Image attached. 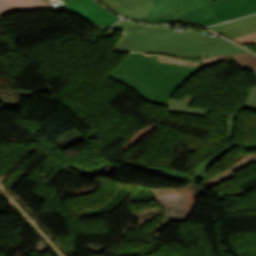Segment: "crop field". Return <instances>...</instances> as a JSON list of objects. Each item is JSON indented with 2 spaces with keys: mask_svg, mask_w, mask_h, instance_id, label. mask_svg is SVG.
<instances>
[{
  "mask_svg": "<svg viewBox=\"0 0 256 256\" xmlns=\"http://www.w3.org/2000/svg\"><path fill=\"white\" fill-rule=\"evenodd\" d=\"M229 23V22H228ZM227 23H225V24H222V25H218V26H213V27H209L210 29H212V30H214V31H216L217 29H219L220 27H222V26H224V25H226Z\"/></svg>",
  "mask_w": 256,
  "mask_h": 256,
  "instance_id": "18",
  "label": "crop field"
},
{
  "mask_svg": "<svg viewBox=\"0 0 256 256\" xmlns=\"http://www.w3.org/2000/svg\"><path fill=\"white\" fill-rule=\"evenodd\" d=\"M194 97L195 96L185 95L183 100L170 99L167 105L168 112L206 117L209 112L208 109L190 107L186 105L191 103Z\"/></svg>",
  "mask_w": 256,
  "mask_h": 256,
  "instance_id": "10",
  "label": "crop field"
},
{
  "mask_svg": "<svg viewBox=\"0 0 256 256\" xmlns=\"http://www.w3.org/2000/svg\"><path fill=\"white\" fill-rule=\"evenodd\" d=\"M239 109L256 111V86L250 87L248 99L242 105H240V107L235 112L229 115L225 121L227 139L229 141H233L232 136L235 127L237 112Z\"/></svg>",
  "mask_w": 256,
  "mask_h": 256,
  "instance_id": "11",
  "label": "crop field"
},
{
  "mask_svg": "<svg viewBox=\"0 0 256 256\" xmlns=\"http://www.w3.org/2000/svg\"><path fill=\"white\" fill-rule=\"evenodd\" d=\"M211 10L218 22L232 20L256 12V0H236Z\"/></svg>",
  "mask_w": 256,
  "mask_h": 256,
  "instance_id": "7",
  "label": "crop field"
},
{
  "mask_svg": "<svg viewBox=\"0 0 256 256\" xmlns=\"http://www.w3.org/2000/svg\"><path fill=\"white\" fill-rule=\"evenodd\" d=\"M44 90H48V91H50V90H51V87L46 88V89H44ZM40 91H41V90H40ZM33 92H35V91H33Z\"/></svg>",
  "mask_w": 256,
  "mask_h": 256,
  "instance_id": "19",
  "label": "crop field"
},
{
  "mask_svg": "<svg viewBox=\"0 0 256 256\" xmlns=\"http://www.w3.org/2000/svg\"><path fill=\"white\" fill-rule=\"evenodd\" d=\"M200 61L130 53L107 76L138 91L145 100L166 106L173 92L197 70L206 66Z\"/></svg>",
  "mask_w": 256,
  "mask_h": 256,
  "instance_id": "1",
  "label": "crop field"
},
{
  "mask_svg": "<svg viewBox=\"0 0 256 256\" xmlns=\"http://www.w3.org/2000/svg\"><path fill=\"white\" fill-rule=\"evenodd\" d=\"M154 27H158V28H162V29L173 31V30H171L172 26H154ZM174 32H176V31H174Z\"/></svg>",
  "mask_w": 256,
  "mask_h": 256,
  "instance_id": "17",
  "label": "crop field"
},
{
  "mask_svg": "<svg viewBox=\"0 0 256 256\" xmlns=\"http://www.w3.org/2000/svg\"><path fill=\"white\" fill-rule=\"evenodd\" d=\"M52 8L45 0H0V17L13 11Z\"/></svg>",
  "mask_w": 256,
  "mask_h": 256,
  "instance_id": "9",
  "label": "crop field"
},
{
  "mask_svg": "<svg viewBox=\"0 0 256 256\" xmlns=\"http://www.w3.org/2000/svg\"><path fill=\"white\" fill-rule=\"evenodd\" d=\"M112 28L126 31L115 50L167 53L188 58L245 52L220 37L202 40L200 31L173 33L125 20Z\"/></svg>",
  "mask_w": 256,
  "mask_h": 256,
  "instance_id": "2",
  "label": "crop field"
},
{
  "mask_svg": "<svg viewBox=\"0 0 256 256\" xmlns=\"http://www.w3.org/2000/svg\"><path fill=\"white\" fill-rule=\"evenodd\" d=\"M182 0H154L145 22L175 23Z\"/></svg>",
  "mask_w": 256,
  "mask_h": 256,
  "instance_id": "6",
  "label": "crop field"
},
{
  "mask_svg": "<svg viewBox=\"0 0 256 256\" xmlns=\"http://www.w3.org/2000/svg\"><path fill=\"white\" fill-rule=\"evenodd\" d=\"M242 145L245 150H252L256 149V145H250V144H235L234 142H231V146L221 150L220 152L207 157L203 162H201L196 171H195V176L194 178L196 179H201V180H207V172L206 169L218 158L223 156L225 153H227L229 150L235 148L236 146Z\"/></svg>",
  "mask_w": 256,
  "mask_h": 256,
  "instance_id": "12",
  "label": "crop field"
},
{
  "mask_svg": "<svg viewBox=\"0 0 256 256\" xmlns=\"http://www.w3.org/2000/svg\"><path fill=\"white\" fill-rule=\"evenodd\" d=\"M227 56L237 64L238 68L256 70V56L249 52Z\"/></svg>",
  "mask_w": 256,
  "mask_h": 256,
  "instance_id": "14",
  "label": "crop field"
},
{
  "mask_svg": "<svg viewBox=\"0 0 256 256\" xmlns=\"http://www.w3.org/2000/svg\"><path fill=\"white\" fill-rule=\"evenodd\" d=\"M234 41L246 45V44H256V33L246 35L237 39H233Z\"/></svg>",
  "mask_w": 256,
  "mask_h": 256,
  "instance_id": "15",
  "label": "crop field"
},
{
  "mask_svg": "<svg viewBox=\"0 0 256 256\" xmlns=\"http://www.w3.org/2000/svg\"><path fill=\"white\" fill-rule=\"evenodd\" d=\"M117 13L144 21L153 1L150 0H99Z\"/></svg>",
  "mask_w": 256,
  "mask_h": 256,
  "instance_id": "5",
  "label": "crop field"
},
{
  "mask_svg": "<svg viewBox=\"0 0 256 256\" xmlns=\"http://www.w3.org/2000/svg\"><path fill=\"white\" fill-rule=\"evenodd\" d=\"M33 94L32 90H0V101L6 105L7 108L19 107L22 97Z\"/></svg>",
  "mask_w": 256,
  "mask_h": 256,
  "instance_id": "13",
  "label": "crop field"
},
{
  "mask_svg": "<svg viewBox=\"0 0 256 256\" xmlns=\"http://www.w3.org/2000/svg\"><path fill=\"white\" fill-rule=\"evenodd\" d=\"M66 10L71 11L84 19L96 23L100 26L110 27L119 17L114 16L109 11L103 9L92 0H62Z\"/></svg>",
  "mask_w": 256,
  "mask_h": 256,
  "instance_id": "3",
  "label": "crop field"
},
{
  "mask_svg": "<svg viewBox=\"0 0 256 256\" xmlns=\"http://www.w3.org/2000/svg\"><path fill=\"white\" fill-rule=\"evenodd\" d=\"M254 74V76L256 77V72L255 73H253Z\"/></svg>",
  "mask_w": 256,
  "mask_h": 256,
  "instance_id": "20",
  "label": "crop field"
},
{
  "mask_svg": "<svg viewBox=\"0 0 256 256\" xmlns=\"http://www.w3.org/2000/svg\"><path fill=\"white\" fill-rule=\"evenodd\" d=\"M176 23L206 26L217 20L205 0H184Z\"/></svg>",
  "mask_w": 256,
  "mask_h": 256,
  "instance_id": "4",
  "label": "crop field"
},
{
  "mask_svg": "<svg viewBox=\"0 0 256 256\" xmlns=\"http://www.w3.org/2000/svg\"><path fill=\"white\" fill-rule=\"evenodd\" d=\"M217 32L231 39L256 32V15L231 22L217 30Z\"/></svg>",
  "mask_w": 256,
  "mask_h": 256,
  "instance_id": "8",
  "label": "crop field"
},
{
  "mask_svg": "<svg viewBox=\"0 0 256 256\" xmlns=\"http://www.w3.org/2000/svg\"><path fill=\"white\" fill-rule=\"evenodd\" d=\"M207 3L209 4V6H216V5H220V4H224L233 0H206Z\"/></svg>",
  "mask_w": 256,
  "mask_h": 256,
  "instance_id": "16",
  "label": "crop field"
}]
</instances>
